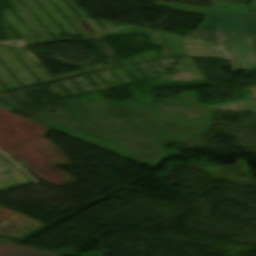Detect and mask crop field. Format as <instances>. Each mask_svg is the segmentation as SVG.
Segmentation results:
<instances>
[{
	"instance_id": "f4fd0767",
	"label": "crop field",
	"mask_w": 256,
	"mask_h": 256,
	"mask_svg": "<svg viewBox=\"0 0 256 256\" xmlns=\"http://www.w3.org/2000/svg\"><path fill=\"white\" fill-rule=\"evenodd\" d=\"M252 3L256 4V0H253Z\"/></svg>"
},
{
	"instance_id": "8a807250",
	"label": "crop field",
	"mask_w": 256,
	"mask_h": 256,
	"mask_svg": "<svg viewBox=\"0 0 256 256\" xmlns=\"http://www.w3.org/2000/svg\"><path fill=\"white\" fill-rule=\"evenodd\" d=\"M182 43L189 57L223 56L234 70L256 68V37L232 34L218 48L189 36Z\"/></svg>"
},
{
	"instance_id": "34b2d1b8",
	"label": "crop field",
	"mask_w": 256,
	"mask_h": 256,
	"mask_svg": "<svg viewBox=\"0 0 256 256\" xmlns=\"http://www.w3.org/2000/svg\"><path fill=\"white\" fill-rule=\"evenodd\" d=\"M157 5L171 8V9L178 10V11L196 13V14H205L207 11V9L195 8V7L178 5V4H173V3L161 2V1H158ZM247 7L248 6H244V5L215 2L210 10L244 14Z\"/></svg>"
},
{
	"instance_id": "ac0d7876",
	"label": "crop field",
	"mask_w": 256,
	"mask_h": 256,
	"mask_svg": "<svg viewBox=\"0 0 256 256\" xmlns=\"http://www.w3.org/2000/svg\"><path fill=\"white\" fill-rule=\"evenodd\" d=\"M232 33L256 36V5L250 4L245 15L208 11L189 36L218 44Z\"/></svg>"
},
{
	"instance_id": "412701ff",
	"label": "crop field",
	"mask_w": 256,
	"mask_h": 256,
	"mask_svg": "<svg viewBox=\"0 0 256 256\" xmlns=\"http://www.w3.org/2000/svg\"><path fill=\"white\" fill-rule=\"evenodd\" d=\"M0 160L2 159L0 158ZM3 162L6 165H8L5 161ZM9 167L12 168L11 166ZM0 168L4 170L2 171L0 169V173L12 171V170H9L10 168L8 169L7 167H5L1 162H0ZM13 170H15L16 172L0 176V189L30 182V180L26 178L22 173H20L17 169H13Z\"/></svg>"
}]
</instances>
